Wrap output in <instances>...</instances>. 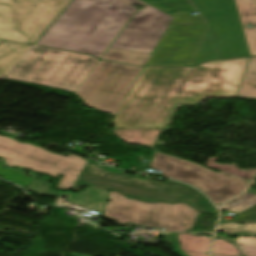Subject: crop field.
Wrapping results in <instances>:
<instances>
[{
    "label": "crop field",
    "instance_id": "1",
    "mask_svg": "<svg viewBox=\"0 0 256 256\" xmlns=\"http://www.w3.org/2000/svg\"><path fill=\"white\" fill-rule=\"evenodd\" d=\"M249 58L192 68L146 66L114 117V128H163L176 103L234 98Z\"/></svg>",
    "mask_w": 256,
    "mask_h": 256
},
{
    "label": "crop field",
    "instance_id": "2",
    "mask_svg": "<svg viewBox=\"0 0 256 256\" xmlns=\"http://www.w3.org/2000/svg\"><path fill=\"white\" fill-rule=\"evenodd\" d=\"M136 10L119 0H73L37 44L100 59Z\"/></svg>",
    "mask_w": 256,
    "mask_h": 256
},
{
    "label": "crop field",
    "instance_id": "3",
    "mask_svg": "<svg viewBox=\"0 0 256 256\" xmlns=\"http://www.w3.org/2000/svg\"><path fill=\"white\" fill-rule=\"evenodd\" d=\"M97 62L90 56L32 45L6 78L74 92Z\"/></svg>",
    "mask_w": 256,
    "mask_h": 256
},
{
    "label": "crop field",
    "instance_id": "4",
    "mask_svg": "<svg viewBox=\"0 0 256 256\" xmlns=\"http://www.w3.org/2000/svg\"><path fill=\"white\" fill-rule=\"evenodd\" d=\"M74 185V184H73ZM97 185L114 189L141 201H187L198 210L216 213L204 195L195 189L168 180L166 183L130 177L100 168L88 162L74 186Z\"/></svg>",
    "mask_w": 256,
    "mask_h": 256
},
{
    "label": "crop field",
    "instance_id": "5",
    "mask_svg": "<svg viewBox=\"0 0 256 256\" xmlns=\"http://www.w3.org/2000/svg\"><path fill=\"white\" fill-rule=\"evenodd\" d=\"M210 25L192 64L246 56L248 50L234 0H191Z\"/></svg>",
    "mask_w": 256,
    "mask_h": 256
},
{
    "label": "crop field",
    "instance_id": "6",
    "mask_svg": "<svg viewBox=\"0 0 256 256\" xmlns=\"http://www.w3.org/2000/svg\"><path fill=\"white\" fill-rule=\"evenodd\" d=\"M71 0H0V41L34 44Z\"/></svg>",
    "mask_w": 256,
    "mask_h": 256
},
{
    "label": "crop field",
    "instance_id": "7",
    "mask_svg": "<svg viewBox=\"0 0 256 256\" xmlns=\"http://www.w3.org/2000/svg\"><path fill=\"white\" fill-rule=\"evenodd\" d=\"M144 68L99 61L74 93L86 106L116 115Z\"/></svg>",
    "mask_w": 256,
    "mask_h": 256
},
{
    "label": "crop field",
    "instance_id": "8",
    "mask_svg": "<svg viewBox=\"0 0 256 256\" xmlns=\"http://www.w3.org/2000/svg\"><path fill=\"white\" fill-rule=\"evenodd\" d=\"M150 168L161 174L194 185L218 205L243 191L248 182L220 174L197 163L154 152Z\"/></svg>",
    "mask_w": 256,
    "mask_h": 256
},
{
    "label": "crop field",
    "instance_id": "9",
    "mask_svg": "<svg viewBox=\"0 0 256 256\" xmlns=\"http://www.w3.org/2000/svg\"><path fill=\"white\" fill-rule=\"evenodd\" d=\"M0 157L6 166L24 167L54 178L59 173L65 174L56 186L59 189L71 188L87 162L73 154L67 157L54 155L3 136H0Z\"/></svg>",
    "mask_w": 256,
    "mask_h": 256
},
{
    "label": "crop field",
    "instance_id": "10",
    "mask_svg": "<svg viewBox=\"0 0 256 256\" xmlns=\"http://www.w3.org/2000/svg\"><path fill=\"white\" fill-rule=\"evenodd\" d=\"M103 216L117 224L136 225L177 231V221L191 208L186 204L170 205L162 202L143 203L109 191Z\"/></svg>",
    "mask_w": 256,
    "mask_h": 256
},
{
    "label": "crop field",
    "instance_id": "11",
    "mask_svg": "<svg viewBox=\"0 0 256 256\" xmlns=\"http://www.w3.org/2000/svg\"><path fill=\"white\" fill-rule=\"evenodd\" d=\"M174 17L146 4L111 45L112 48L153 53Z\"/></svg>",
    "mask_w": 256,
    "mask_h": 256
},
{
    "label": "crop field",
    "instance_id": "12",
    "mask_svg": "<svg viewBox=\"0 0 256 256\" xmlns=\"http://www.w3.org/2000/svg\"><path fill=\"white\" fill-rule=\"evenodd\" d=\"M250 55H256V0H235Z\"/></svg>",
    "mask_w": 256,
    "mask_h": 256
},
{
    "label": "crop field",
    "instance_id": "13",
    "mask_svg": "<svg viewBox=\"0 0 256 256\" xmlns=\"http://www.w3.org/2000/svg\"><path fill=\"white\" fill-rule=\"evenodd\" d=\"M107 194V190L97 187H87L86 190L79 193L62 192L59 196L64 195L68 197V200L74 205L86 207L102 213L107 199Z\"/></svg>",
    "mask_w": 256,
    "mask_h": 256
},
{
    "label": "crop field",
    "instance_id": "14",
    "mask_svg": "<svg viewBox=\"0 0 256 256\" xmlns=\"http://www.w3.org/2000/svg\"><path fill=\"white\" fill-rule=\"evenodd\" d=\"M31 45L3 42L0 44V78H5Z\"/></svg>",
    "mask_w": 256,
    "mask_h": 256
},
{
    "label": "crop field",
    "instance_id": "15",
    "mask_svg": "<svg viewBox=\"0 0 256 256\" xmlns=\"http://www.w3.org/2000/svg\"><path fill=\"white\" fill-rule=\"evenodd\" d=\"M162 129H114L127 144H139L152 148Z\"/></svg>",
    "mask_w": 256,
    "mask_h": 256
},
{
    "label": "crop field",
    "instance_id": "16",
    "mask_svg": "<svg viewBox=\"0 0 256 256\" xmlns=\"http://www.w3.org/2000/svg\"><path fill=\"white\" fill-rule=\"evenodd\" d=\"M235 98H256V57H251Z\"/></svg>",
    "mask_w": 256,
    "mask_h": 256
},
{
    "label": "crop field",
    "instance_id": "17",
    "mask_svg": "<svg viewBox=\"0 0 256 256\" xmlns=\"http://www.w3.org/2000/svg\"><path fill=\"white\" fill-rule=\"evenodd\" d=\"M150 56L151 54L136 53L109 48L102 59L134 65H142L147 64Z\"/></svg>",
    "mask_w": 256,
    "mask_h": 256
},
{
    "label": "crop field",
    "instance_id": "18",
    "mask_svg": "<svg viewBox=\"0 0 256 256\" xmlns=\"http://www.w3.org/2000/svg\"><path fill=\"white\" fill-rule=\"evenodd\" d=\"M180 250L208 253L210 237L178 233Z\"/></svg>",
    "mask_w": 256,
    "mask_h": 256
},
{
    "label": "crop field",
    "instance_id": "19",
    "mask_svg": "<svg viewBox=\"0 0 256 256\" xmlns=\"http://www.w3.org/2000/svg\"><path fill=\"white\" fill-rule=\"evenodd\" d=\"M255 204L256 194L246 192L244 195L226 203L221 209L240 214Z\"/></svg>",
    "mask_w": 256,
    "mask_h": 256
},
{
    "label": "crop field",
    "instance_id": "20",
    "mask_svg": "<svg viewBox=\"0 0 256 256\" xmlns=\"http://www.w3.org/2000/svg\"><path fill=\"white\" fill-rule=\"evenodd\" d=\"M51 185L47 184V181L37 178L26 189H30L33 193L42 196H57L60 192L52 190Z\"/></svg>",
    "mask_w": 256,
    "mask_h": 256
},
{
    "label": "crop field",
    "instance_id": "21",
    "mask_svg": "<svg viewBox=\"0 0 256 256\" xmlns=\"http://www.w3.org/2000/svg\"><path fill=\"white\" fill-rule=\"evenodd\" d=\"M256 239L248 237H237L235 245L244 256H256Z\"/></svg>",
    "mask_w": 256,
    "mask_h": 256
},
{
    "label": "crop field",
    "instance_id": "22",
    "mask_svg": "<svg viewBox=\"0 0 256 256\" xmlns=\"http://www.w3.org/2000/svg\"><path fill=\"white\" fill-rule=\"evenodd\" d=\"M217 230L224 233H238L240 231H248L256 234V224H245L243 226L235 223H224L218 225Z\"/></svg>",
    "mask_w": 256,
    "mask_h": 256
},
{
    "label": "crop field",
    "instance_id": "23",
    "mask_svg": "<svg viewBox=\"0 0 256 256\" xmlns=\"http://www.w3.org/2000/svg\"><path fill=\"white\" fill-rule=\"evenodd\" d=\"M212 253L241 256L235 246L217 238L214 239Z\"/></svg>",
    "mask_w": 256,
    "mask_h": 256
},
{
    "label": "crop field",
    "instance_id": "24",
    "mask_svg": "<svg viewBox=\"0 0 256 256\" xmlns=\"http://www.w3.org/2000/svg\"><path fill=\"white\" fill-rule=\"evenodd\" d=\"M256 220V205L249 210L245 211L244 213L234 217L230 221L234 222H248V221H255Z\"/></svg>",
    "mask_w": 256,
    "mask_h": 256
},
{
    "label": "crop field",
    "instance_id": "25",
    "mask_svg": "<svg viewBox=\"0 0 256 256\" xmlns=\"http://www.w3.org/2000/svg\"><path fill=\"white\" fill-rule=\"evenodd\" d=\"M197 214H199L196 210L194 209H190L179 221H178V231L181 232H187V229L185 228L184 225H181V221H185V222H191L193 223ZM186 217H188V219H186Z\"/></svg>",
    "mask_w": 256,
    "mask_h": 256
},
{
    "label": "crop field",
    "instance_id": "26",
    "mask_svg": "<svg viewBox=\"0 0 256 256\" xmlns=\"http://www.w3.org/2000/svg\"><path fill=\"white\" fill-rule=\"evenodd\" d=\"M170 236H171V240H167V241L173 244L175 253L179 254L180 256H186L179 251L177 233H171Z\"/></svg>",
    "mask_w": 256,
    "mask_h": 256
},
{
    "label": "crop field",
    "instance_id": "27",
    "mask_svg": "<svg viewBox=\"0 0 256 256\" xmlns=\"http://www.w3.org/2000/svg\"><path fill=\"white\" fill-rule=\"evenodd\" d=\"M181 252H183L187 256H208V254H204V253H195V252H186V251H181Z\"/></svg>",
    "mask_w": 256,
    "mask_h": 256
},
{
    "label": "crop field",
    "instance_id": "28",
    "mask_svg": "<svg viewBox=\"0 0 256 256\" xmlns=\"http://www.w3.org/2000/svg\"><path fill=\"white\" fill-rule=\"evenodd\" d=\"M121 1H123V2H125V3H127V4H133V3H136L137 5H139V6H141V7H143L144 6V3H142V2H140V1H138V0H121Z\"/></svg>",
    "mask_w": 256,
    "mask_h": 256
},
{
    "label": "crop field",
    "instance_id": "29",
    "mask_svg": "<svg viewBox=\"0 0 256 256\" xmlns=\"http://www.w3.org/2000/svg\"><path fill=\"white\" fill-rule=\"evenodd\" d=\"M196 219H197V218H196ZM195 221H196V220H195ZM182 223H184V222H182ZM194 224H195V222H194ZM194 224L185 223V226H186V228L189 230V229L193 228Z\"/></svg>",
    "mask_w": 256,
    "mask_h": 256
},
{
    "label": "crop field",
    "instance_id": "30",
    "mask_svg": "<svg viewBox=\"0 0 256 256\" xmlns=\"http://www.w3.org/2000/svg\"><path fill=\"white\" fill-rule=\"evenodd\" d=\"M70 256H86V255H80V254L71 253Z\"/></svg>",
    "mask_w": 256,
    "mask_h": 256
},
{
    "label": "crop field",
    "instance_id": "31",
    "mask_svg": "<svg viewBox=\"0 0 256 256\" xmlns=\"http://www.w3.org/2000/svg\"><path fill=\"white\" fill-rule=\"evenodd\" d=\"M248 192L256 193V190H255V189L250 188V189L248 190Z\"/></svg>",
    "mask_w": 256,
    "mask_h": 256
},
{
    "label": "crop field",
    "instance_id": "32",
    "mask_svg": "<svg viewBox=\"0 0 256 256\" xmlns=\"http://www.w3.org/2000/svg\"><path fill=\"white\" fill-rule=\"evenodd\" d=\"M213 256H227V255H217V254H213Z\"/></svg>",
    "mask_w": 256,
    "mask_h": 256
},
{
    "label": "crop field",
    "instance_id": "33",
    "mask_svg": "<svg viewBox=\"0 0 256 256\" xmlns=\"http://www.w3.org/2000/svg\"><path fill=\"white\" fill-rule=\"evenodd\" d=\"M42 1V0H41Z\"/></svg>",
    "mask_w": 256,
    "mask_h": 256
}]
</instances>
